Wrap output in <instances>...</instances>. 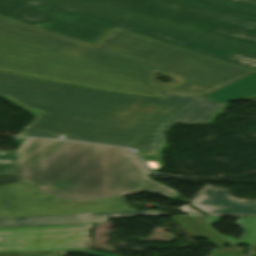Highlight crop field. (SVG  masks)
Wrapping results in <instances>:
<instances>
[{
    "label": "crop field",
    "mask_w": 256,
    "mask_h": 256,
    "mask_svg": "<svg viewBox=\"0 0 256 256\" xmlns=\"http://www.w3.org/2000/svg\"><path fill=\"white\" fill-rule=\"evenodd\" d=\"M0 69L156 97L205 96L255 71L119 28L90 45L1 17Z\"/></svg>",
    "instance_id": "obj_1"
},
{
    "label": "crop field",
    "mask_w": 256,
    "mask_h": 256,
    "mask_svg": "<svg viewBox=\"0 0 256 256\" xmlns=\"http://www.w3.org/2000/svg\"><path fill=\"white\" fill-rule=\"evenodd\" d=\"M0 96L35 116L17 136L65 135L69 140L134 147L154 172L163 167V134L175 121L212 124L227 106L205 97L126 95L1 70Z\"/></svg>",
    "instance_id": "obj_2"
},
{
    "label": "crop field",
    "mask_w": 256,
    "mask_h": 256,
    "mask_svg": "<svg viewBox=\"0 0 256 256\" xmlns=\"http://www.w3.org/2000/svg\"><path fill=\"white\" fill-rule=\"evenodd\" d=\"M4 17L93 43L122 23L185 43L208 26L256 38L247 0H24Z\"/></svg>",
    "instance_id": "obj_3"
},
{
    "label": "crop field",
    "mask_w": 256,
    "mask_h": 256,
    "mask_svg": "<svg viewBox=\"0 0 256 256\" xmlns=\"http://www.w3.org/2000/svg\"><path fill=\"white\" fill-rule=\"evenodd\" d=\"M18 151H0V174L21 175L38 191L75 203L140 192L174 198L149 178L139 158L122 148L80 142L15 138Z\"/></svg>",
    "instance_id": "obj_4"
},
{
    "label": "crop field",
    "mask_w": 256,
    "mask_h": 256,
    "mask_svg": "<svg viewBox=\"0 0 256 256\" xmlns=\"http://www.w3.org/2000/svg\"><path fill=\"white\" fill-rule=\"evenodd\" d=\"M130 210L124 196L74 204L23 182L0 186V217Z\"/></svg>",
    "instance_id": "obj_5"
},
{
    "label": "crop field",
    "mask_w": 256,
    "mask_h": 256,
    "mask_svg": "<svg viewBox=\"0 0 256 256\" xmlns=\"http://www.w3.org/2000/svg\"><path fill=\"white\" fill-rule=\"evenodd\" d=\"M96 224L0 229V251L88 249Z\"/></svg>",
    "instance_id": "obj_6"
},
{
    "label": "crop field",
    "mask_w": 256,
    "mask_h": 256,
    "mask_svg": "<svg viewBox=\"0 0 256 256\" xmlns=\"http://www.w3.org/2000/svg\"><path fill=\"white\" fill-rule=\"evenodd\" d=\"M119 28L256 70V39L208 27L187 44L122 24Z\"/></svg>",
    "instance_id": "obj_7"
},
{
    "label": "crop field",
    "mask_w": 256,
    "mask_h": 256,
    "mask_svg": "<svg viewBox=\"0 0 256 256\" xmlns=\"http://www.w3.org/2000/svg\"><path fill=\"white\" fill-rule=\"evenodd\" d=\"M191 204L209 215L256 216V200L236 199L229 190L215 186L206 185Z\"/></svg>",
    "instance_id": "obj_8"
},
{
    "label": "crop field",
    "mask_w": 256,
    "mask_h": 256,
    "mask_svg": "<svg viewBox=\"0 0 256 256\" xmlns=\"http://www.w3.org/2000/svg\"><path fill=\"white\" fill-rule=\"evenodd\" d=\"M206 97L216 102H230L256 98V72Z\"/></svg>",
    "instance_id": "obj_9"
},
{
    "label": "crop field",
    "mask_w": 256,
    "mask_h": 256,
    "mask_svg": "<svg viewBox=\"0 0 256 256\" xmlns=\"http://www.w3.org/2000/svg\"><path fill=\"white\" fill-rule=\"evenodd\" d=\"M106 218L84 219L82 214L0 219V228L53 224L102 222Z\"/></svg>",
    "instance_id": "obj_10"
},
{
    "label": "crop field",
    "mask_w": 256,
    "mask_h": 256,
    "mask_svg": "<svg viewBox=\"0 0 256 256\" xmlns=\"http://www.w3.org/2000/svg\"><path fill=\"white\" fill-rule=\"evenodd\" d=\"M181 227L191 238H202L208 240L216 247H223L228 244L234 247L210 229L207 228L204 217H170Z\"/></svg>",
    "instance_id": "obj_11"
},
{
    "label": "crop field",
    "mask_w": 256,
    "mask_h": 256,
    "mask_svg": "<svg viewBox=\"0 0 256 256\" xmlns=\"http://www.w3.org/2000/svg\"><path fill=\"white\" fill-rule=\"evenodd\" d=\"M206 223L208 228H210V224L218 222L219 219L218 217H205ZM245 232L242 235L241 238L237 241L233 237H223L213 229L216 234H218L220 237L228 241L234 246H238L240 244H244L248 247H255L256 245V218H240V220L237 223Z\"/></svg>",
    "instance_id": "obj_12"
},
{
    "label": "crop field",
    "mask_w": 256,
    "mask_h": 256,
    "mask_svg": "<svg viewBox=\"0 0 256 256\" xmlns=\"http://www.w3.org/2000/svg\"><path fill=\"white\" fill-rule=\"evenodd\" d=\"M69 252H81V253L96 255V256H115V255L95 252L90 249H88V250H43V251H24V252H0V256H12V255H21V254H42V255H48V256H65L66 253H69Z\"/></svg>",
    "instance_id": "obj_13"
},
{
    "label": "crop field",
    "mask_w": 256,
    "mask_h": 256,
    "mask_svg": "<svg viewBox=\"0 0 256 256\" xmlns=\"http://www.w3.org/2000/svg\"><path fill=\"white\" fill-rule=\"evenodd\" d=\"M85 218L95 217H115V216H132V215H166L162 211H123V212H107V213H91L83 214Z\"/></svg>",
    "instance_id": "obj_14"
},
{
    "label": "crop field",
    "mask_w": 256,
    "mask_h": 256,
    "mask_svg": "<svg viewBox=\"0 0 256 256\" xmlns=\"http://www.w3.org/2000/svg\"><path fill=\"white\" fill-rule=\"evenodd\" d=\"M23 0H0V15L3 16Z\"/></svg>",
    "instance_id": "obj_15"
},
{
    "label": "crop field",
    "mask_w": 256,
    "mask_h": 256,
    "mask_svg": "<svg viewBox=\"0 0 256 256\" xmlns=\"http://www.w3.org/2000/svg\"><path fill=\"white\" fill-rule=\"evenodd\" d=\"M21 181L20 176H1L0 175V185L19 182Z\"/></svg>",
    "instance_id": "obj_16"
},
{
    "label": "crop field",
    "mask_w": 256,
    "mask_h": 256,
    "mask_svg": "<svg viewBox=\"0 0 256 256\" xmlns=\"http://www.w3.org/2000/svg\"><path fill=\"white\" fill-rule=\"evenodd\" d=\"M180 208H182V212H184V213H186V214H188V215H201L200 213H198V212H196V211L190 209V208H189V205L184 206V207H180ZM176 209H177V208H176ZM174 210H175V209H174Z\"/></svg>",
    "instance_id": "obj_17"
},
{
    "label": "crop field",
    "mask_w": 256,
    "mask_h": 256,
    "mask_svg": "<svg viewBox=\"0 0 256 256\" xmlns=\"http://www.w3.org/2000/svg\"><path fill=\"white\" fill-rule=\"evenodd\" d=\"M250 256H256V247L255 248H247Z\"/></svg>",
    "instance_id": "obj_18"
},
{
    "label": "crop field",
    "mask_w": 256,
    "mask_h": 256,
    "mask_svg": "<svg viewBox=\"0 0 256 256\" xmlns=\"http://www.w3.org/2000/svg\"><path fill=\"white\" fill-rule=\"evenodd\" d=\"M27 256H42V255H27Z\"/></svg>",
    "instance_id": "obj_19"
},
{
    "label": "crop field",
    "mask_w": 256,
    "mask_h": 256,
    "mask_svg": "<svg viewBox=\"0 0 256 256\" xmlns=\"http://www.w3.org/2000/svg\"><path fill=\"white\" fill-rule=\"evenodd\" d=\"M247 256H249V254Z\"/></svg>",
    "instance_id": "obj_20"
}]
</instances>
